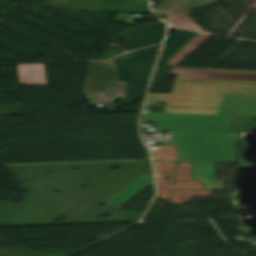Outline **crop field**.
Here are the masks:
<instances>
[{
	"mask_svg": "<svg viewBox=\"0 0 256 256\" xmlns=\"http://www.w3.org/2000/svg\"><path fill=\"white\" fill-rule=\"evenodd\" d=\"M173 142L156 145H177L180 162L236 163L235 144L240 133L168 131Z\"/></svg>",
	"mask_w": 256,
	"mask_h": 256,
	"instance_id": "8a807250",
	"label": "crop field"
},
{
	"mask_svg": "<svg viewBox=\"0 0 256 256\" xmlns=\"http://www.w3.org/2000/svg\"><path fill=\"white\" fill-rule=\"evenodd\" d=\"M153 107L146 105V121L158 122L165 129L180 130H229L247 131L254 117L191 115V114H152ZM165 108V107H159Z\"/></svg>",
	"mask_w": 256,
	"mask_h": 256,
	"instance_id": "ac0d7876",
	"label": "crop field"
},
{
	"mask_svg": "<svg viewBox=\"0 0 256 256\" xmlns=\"http://www.w3.org/2000/svg\"><path fill=\"white\" fill-rule=\"evenodd\" d=\"M127 83L118 80L114 61L89 62L84 93L90 104L125 99Z\"/></svg>",
	"mask_w": 256,
	"mask_h": 256,
	"instance_id": "34b2d1b8",
	"label": "crop field"
},
{
	"mask_svg": "<svg viewBox=\"0 0 256 256\" xmlns=\"http://www.w3.org/2000/svg\"><path fill=\"white\" fill-rule=\"evenodd\" d=\"M175 81L256 84V71L175 67Z\"/></svg>",
	"mask_w": 256,
	"mask_h": 256,
	"instance_id": "412701ff",
	"label": "crop field"
},
{
	"mask_svg": "<svg viewBox=\"0 0 256 256\" xmlns=\"http://www.w3.org/2000/svg\"><path fill=\"white\" fill-rule=\"evenodd\" d=\"M227 85L175 82L170 95L149 94L148 99L223 102Z\"/></svg>",
	"mask_w": 256,
	"mask_h": 256,
	"instance_id": "f4fd0767",
	"label": "crop field"
},
{
	"mask_svg": "<svg viewBox=\"0 0 256 256\" xmlns=\"http://www.w3.org/2000/svg\"><path fill=\"white\" fill-rule=\"evenodd\" d=\"M219 3L218 0H165L154 12L159 18Z\"/></svg>",
	"mask_w": 256,
	"mask_h": 256,
	"instance_id": "dd49c442",
	"label": "crop field"
},
{
	"mask_svg": "<svg viewBox=\"0 0 256 256\" xmlns=\"http://www.w3.org/2000/svg\"><path fill=\"white\" fill-rule=\"evenodd\" d=\"M150 185H154L152 174L144 175L126 188L122 189L121 191L104 201L103 203L120 207L133 196H135Z\"/></svg>",
	"mask_w": 256,
	"mask_h": 256,
	"instance_id": "e52e79f7",
	"label": "crop field"
},
{
	"mask_svg": "<svg viewBox=\"0 0 256 256\" xmlns=\"http://www.w3.org/2000/svg\"><path fill=\"white\" fill-rule=\"evenodd\" d=\"M216 164L194 163L192 179L206 183L205 190H223V182L215 180Z\"/></svg>",
	"mask_w": 256,
	"mask_h": 256,
	"instance_id": "d8731c3e",
	"label": "crop field"
},
{
	"mask_svg": "<svg viewBox=\"0 0 256 256\" xmlns=\"http://www.w3.org/2000/svg\"><path fill=\"white\" fill-rule=\"evenodd\" d=\"M224 102L256 103V85L229 84Z\"/></svg>",
	"mask_w": 256,
	"mask_h": 256,
	"instance_id": "5a996713",
	"label": "crop field"
},
{
	"mask_svg": "<svg viewBox=\"0 0 256 256\" xmlns=\"http://www.w3.org/2000/svg\"><path fill=\"white\" fill-rule=\"evenodd\" d=\"M20 84L47 86L43 65L17 66Z\"/></svg>",
	"mask_w": 256,
	"mask_h": 256,
	"instance_id": "3316defc",
	"label": "crop field"
},
{
	"mask_svg": "<svg viewBox=\"0 0 256 256\" xmlns=\"http://www.w3.org/2000/svg\"><path fill=\"white\" fill-rule=\"evenodd\" d=\"M218 114L256 116V104L222 103Z\"/></svg>",
	"mask_w": 256,
	"mask_h": 256,
	"instance_id": "28ad6ade",
	"label": "crop field"
},
{
	"mask_svg": "<svg viewBox=\"0 0 256 256\" xmlns=\"http://www.w3.org/2000/svg\"><path fill=\"white\" fill-rule=\"evenodd\" d=\"M147 103L166 104L168 106L206 107V108H219L221 104V103H209V102H184V101H160V100H148Z\"/></svg>",
	"mask_w": 256,
	"mask_h": 256,
	"instance_id": "d1516ede",
	"label": "crop field"
},
{
	"mask_svg": "<svg viewBox=\"0 0 256 256\" xmlns=\"http://www.w3.org/2000/svg\"><path fill=\"white\" fill-rule=\"evenodd\" d=\"M165 113L217 114L218 109H177L166 108Z\"/></svg>",
	"mask_w": 256,
	"mask_h": 256,
	"instance_id": "22f410ed",
	"label": "crop field"
}]
</instances>
